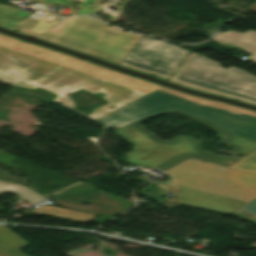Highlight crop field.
I'll return each instance as SVG.
<instances>
[{
    "mask_svg": "<svg viewBox=\"0 0 256 256\" xmlns=\"http://www.w3.org/2000/svg\"><path fill=\"white\" fill-rule=\"evenodd\" d=\"M167 113L198 120L231 137L225 143L237 148L235 152L243 157L235 159L207 153L199 147L201 142L186 136H179L173 142H166L154 137L153 133L143 129L140 125V122L146 119ZM99 121L116 129L120 137L135 146L134 150L126 155L129 157L127 161L138 166L155 167L163 171L188 158L229 166L224 163L228 160L235 163L256 150V117L200 105L161 90ZM231 169L256 174V153Z\"/></svg>",
    "mask_w": 256,
    "mask_h": 256,
    "instance_id": "8a807250",
    "label": "crop field"
},
{
    "mask_svg": "<svg viewBox=\"0 0 256 256\" xmlns=\"http://www.w3.org/2000/svg\"><path fill=\"white\" fill-rule=\"evenodd\" d=\"M52 51L0 35V80L48 90L59 96L53 101L68 108L72 104L63 95L78 88L108 94L103 98L109 103L86 116L95 121L161 88Z\"/></svg>",
    "mask_w": 256,
    "mask_h": 256,
    "instance_id": "ac0d7876",
    "label": "crop field"
},
{
    "mask_svg": "<svg viewBox=\"0 0 256 256\" xmlns=\"http://www.w3.org/2000/svg\"><path fill=\"white\" fill-rule=\"evenodd\" d=\"M175 196L163 202L229 214L256 198V175L188 161L166 173Z\"/></svg>",
    "mask_w": 256,
    "mask_h": 256,
    "instance_id": "34b2d1b8",
    "label": "crop field"
},
{
    "mask_svg": "<svg viewBox=\"0 0 256 256\" xmlns=\"http://www.w3.org/2000/svg\"><path fill=\"white\" fill-rule=\"evenodd\" d=\"M219 65L191 52L173 78L256 101L255 76L232 66L224 69Z\"/></svg>",
    "mask_w": 256,
    "mask_h": 256,
    "instance_id": "412701ff",
    "label": "crop field"
},
{
    "mask_svg": "<svg viewBox=\"0 0 256 256\" xmlns=\"http://www.w3.org/2000/svg\"><path fill=\"white\" fill-rule=\"evenodd\" d=\"M188 52L169 43L142 37L124 63L170 77Z\"/></svg>",
    "mask_w": 256,
    "mask_h": 256,
    "instance_id": "f4fd0767",
    "label": "crop field"
},
{
    "mask_svg": "<svg viewBox=\"0 0 256 256\" xmlns=\"http://www.w3.org/2000/svg\"><path fill=\"white\" fill-rule=\"evenodd\" d=\"M140 38L110 27L89 54L117 64L128 56Z\"/></svg>",
    "mask_w": 256,
    "mask_h": 256,
    "instance_id": "dd49c442",
    "label": "crop field"
},
{
    "mask_svg": "<svg viewBox=\"0 0 256 256\" xmlns=\"http://www.w3.org/2000/svg\"><path fill=\"white\" fill-rule=\"evenodd\" d=\"M211 40L219 43L220 46L235 48L252 55L247 60L256 63V31L250 30L246 33L227 31L218 32Z\"/></svg>",
    "mask_w": 256,
    "mask_h": 256,
    "instance_id": "e52e79f7",
    "label": "crop field"
},
{
    "mask_svg": "<svg viewBox=\"0 0 256 256\" xmlns=\"http://www.w3.org/2000/svg\"><path fill=\"white\" fill-rule=\"evenodd\" d=\"M32 213L42 214L46 216L66 219L80 223H88L96 217L95 215L66 210L52 206L39 207L36 210L32 211Z\"/></svg>",
    "mask_w": 256,
    "mask_h": 256,
    "instance_id": "d8731c3e",
    "label": "crop field"
},
{
    "mask_svg": "<svg viewBox=\"0 0 256 256\" xmlns=\"http://www.w3.org/2000/svg\"><path fill=\"white\" fill-rule=\"evenodd\" d=\"M28 245L23 239L8 230L5 226H0V252L8 256H24L18 249Z\"/></svg>",
    "mask_w": 256,
    "mask_h": 256,
    "instance_id": "5a996713",
    "label": "crop field"
},
{
    "mask_svg": "<svg viewBox=\"0 0 256 256\" xmlns=\"http://www.w3.org/2000/svg\"><path fill=\"white\" fill-rule=\"evenodd\" d=\"M27 187L16 183L0 181V195L11 191L12 193L22 197L32 204H35L46 198Z\"/></svg>",
    "mask_w": 256,
    "mask_h": 256,
    "instance_id": "3316defc",
    "label": "crop field"
},
{
    "mask_svg": "<svg viewBox=\"0 0 256 256\" xmlns=\"http://www.w3.org/2000/svg\"><path fill=\"white\" fill-rule=\"evenodd\" d=\"M162 90L167 91V92L172 93V94H175L177 96L186 98V99L191 100L193 102H198L200 104L214 106V107L225 109V110H232V111H235V112H241V113H246V114H249V115L256 116V114L253 113V112H250V111H247V110H243V109H239V108H235V107H231V106L226 105V104H222V103H218V102H213V101H208V100H204V99L193 97V96H188V95L182 94L180 92L168 90V89H166L164 87L162 88Z\"/></svg>",
    "mask_w": 256,
    "mask_h": 256,
    "instance_id": "28ad6ade",
    "label": "crop field"
},
{
    "mask_svg": "<svg viewBox=\"0 0 256 256\" xmlns=\"http://www.w3.org/2000/svg\"><path fill=\"white\" fill-rule=\"evenodd\" d=\"M230 215L256 224V199L234 211Z\"/></svg>",
    "mask_w": 256,
    "mask_h": 256,
    "instance_id": "d1516ede",
    "label": "crop field"
},
{
    "mask_svg": "<svg viewBox=\"0 0 256 256\" xmlns=\"http://www.w3.org/2000/svg\"><path fill=\"white\" fill-rule=\"evenodd\" d=\"M170 82L177 83V84H180V85H183V86H187V87H190V88H193V89H196V90H200V91H203V92H207V93H211V94H215V95H219V96H223V97H227V98L237 99V100H241V101L256 105V102L241 99V98L231 96V95H228V94H224V93H221V92H218V91H214V90L194 86V85H191V84H188V83H185V82L173 79V78L170 79Z\"/></svg>",
    "mask_w": 256,
    "mask_h": 256,
    "instance_id": "22f410ed",
    "label": "crop field"
},
{
    "mask_svg": "<svg viewBox=\"0 0 256 256\" xmlns=\"http://www.w3.org/2000/svg\"><path fill=\"white\" fill-rule=\"evenodd\" d=\"M121 65H122V66H125V67H128V68H131V69H134V70H138V71H141V72H145V73H148V74H154V75H156L157 77L162 78V79H164V80H166V81H168V79H169L168 77H165V76H162V75H159V74H155V73H152V72H149V71H146V70L137 68V67H133V66H130V65H127V64H124V63H122Z\"/></svg>",
    "mask_w": 256,
    "mask_h": 256,
    "instance_id": "cbeb9de0",
    "label": "crop field"
},
{
    "mask_svg": "<svg viewBox=\"0 0 256 256\" xmlns=\"http://www.w3.org/2000/svg\"><path fill=\"white\" fill-rule=\"evenodd\" d=\"M0 256H5V255H3L2 253H0Z\"/></svg>",
    "mask_w": 256,
    "mask_h": 256,
    "instance_id": "5142ce71",
    "label": "crop field"
}]
</instances>
